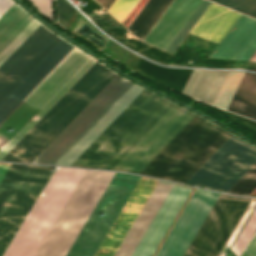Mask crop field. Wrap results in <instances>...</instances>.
<instances>
[{
	"label": "crop field",
	"instance_id": "crop-field-7",
	"mask_svg": "<svg viewBox=\"0 0 256 256\" xmlns=\"http://www.w3.org/2000/svg\"><path fill=\"white\" fill-rule=\"evenodd\" d=\"M85 170L60 168L38 197L3 256H34Z\"/></svg>",
	"mask_w": 256,
	"mask_h": 256
},
{
	"label": "crop field",
	"instance_id": "crop-field-26",
	"mask_svg": "<svg viewBox=\"0 0 256 256\" xmlns=\"http://www.w3.org/2000/svg\"><path fill=\"white\" fill-rule=\"evenodd\" d=\"M209 4H210V2H208L206 0L203 1V3L200 5V7L196 10V12L189 19V21L185 24V26L181 29V31L178 33V35L174 38V40L167 47L166 51H169L171 53L174 52V50L177 48V46L180 44V42L183 40V38L186 36V34L190 31V29L193 27V25L196 23V21L199 19V17L203 14V12L206 10V8L209 6Z\"/></svg>",
	"mask_w": 256,
	"mask_h": 256
},
{
	"label": "crop field",
	"instance_id": "crop-field-17",
	"mask_svg": "<svg viewBox=\"0 0 256 256\" xmlns=\"http://www.w3.org/2000/svg\"><path fill=\"white\" fill-rule=\"evenodd\" d=\"M251 199L232 197L197 256H217Z\"/></svg>",
	"mask_w": 256,
	"mask_h": 256
},
{
	"label": "crop field",
	"instance_id": "crop-field-28",
	"mask_svg": "<svg viewBox=\"0 0 256 256\" xmlns=\"http://www.w3.org/2000/svg\"><path fill=\"white\" fill-rule=\"evenodd\" d=\"M39 12L51 21L54 19V4L52 0H28Z\"/></svg>",
	"mask_w": 256,
	"mask_h": 256
},
{
	"label": "crop field",
	"instance_id": "crop-field-4",
	"mask_svg": "<svg viewBox=\"0 0 256 256\" xmlns=\"http://www.w3.org/2000/svg\"><path fill=\"white\" fill-rule=\"evenodd\" d=\"M129 83L116 75L32 163L51 164ZM142 90L130 83L52 164L70 166Z\"/></svg>",
	"mask_w": 256,
	"mask_h": 256
},
{
	"label": "crop field",
	"instance_id": "crop-field-12",
	"mask_svg": "<svg viewBox=\"0 0 256 256\" xmlns=\"http://www.w3.org/2000/svg\"><path fill=\"white\" fill-rule=\"evenodd\" d=\"M190 192L173 186L132 256H152Z\"/></svg>",
	"mask_w": 256,
	"mask_h": 256
},
{
	"label": "crop field",
	"instance_id": "crop-field-38",
	"mask_svg": "<svg viewBox=\"0 0 256 256\" xmlns=\"http://www.w3.org/2000/svg\"><path fill=\"white\" fill-rule=\"evenodd\" d=\"M226 256V255H225Z\"/></svg>",
	"mask_w": 256,
	"mask_h": 256
},
{
	"label": "crop field",
	"instance_id": "crop-field-18",
	"mask_svg": "<svg viewBox=\"0 0 256 256\" xmlns=\"http://www.w3.org/2000/svg\"><path fill=\"white\" fill-rule=\"evenodd\" d=\"M239 16L238 13L211 3L191 32L220 42Z\"/></svg>",
	"mask_w": 256,
	"mask_h": 256
},
{
	"label": "crop field",
	"instance_id": "crop-field-3",
	"mask_svg": "<svg viewBox=\"0 0 256 256\" xmlns=\"http://www.w3.org/2000/svg\"><path fill=\"white\" fill-rule=\"evenodd\" d=\"M112 175L86 170L35 256L65 255ZM139 179L114 173L65 256L95 254Z\"/></svg>",
	"mask_w": 256,
	"mask_h": 256
},
{
	"label": "crop field",
	"instance_id": "crop-field-23",
	"mask_svg": "<svg viewBox=\"0 0 256 256\" xmlns=\"http://www.w3.org/2000/svg\"><path fill=\"white\" fill-rule=\"evenodd\" d=\"M171 1L149 0L128 29L142 40Z\"/></svg>",
	"mask_w": 256,
	"mask_h": 256
},
{
	"label": "crop field",
	"instance_id": "crop-field-5",
	"mask_svg": "<svg viewBox=\"0 0 256 256\" xmlns=\"http://www.w3.org/2000/svg\"><path fill=\"white\" fill-rule=\"evenodd\" d=\"M115 75L96 62L2 160L31 163Z\"/></svg>",
	"mask_w": 256,
	"mask_h": 256
},
{
	"label": "crop field",
	"instance_id": "crop-field-32",
	"mask_svg": "<svg viewBox=\"0 0 256 256\" xmlns=\"http://www.w3.org/2000/svg\"><path fill=\"white\" fill-rule=\"evenodd\" d=\"M236 11L256 18V0H243Z\"/></svg>",
	"mask_w": 256,
	"mask_h": 256
},
{
	"label": "crop field",
	"instance_id": "crop-field-9",
	"mask_svg": "<svg viewBox=\"0 0 256 256\" xmlns=\"http://www.w3.org/2000/svg\"><path fill=\"white\" fill-rule=\"evenodd\" d=\"M256 162V148L230 136L186 182L227 192Z\"/></svg>",
	"mask_w": 256,
	"mask_h": 256
},
{
	"label": "crop field",
	"instance_id": "crop-field-36",
	"mask_svg": "<svg viewBox=\"0 0 256 256\" xmlns=\"http://www.w3.org/2000/svg\"><path fill=\"white\" fill-rule=\"evenodd\" d=\"M96 1L107 10L114 0H96Z\"/></svg>",
	"mask_w": 256,
	"mask_h": 256
},
{
	"label": "crop field",
	"instance_id": "crop-field-16",
	"mask_svg": "<svg viewBox=\"0 0 256 256\" xmlns=\"http://www.w3.org/2000/svg\"><path fill=\"white\" fill-rule=\"evenodd\" d=\"M171 188L158 183L114 256H131Z\"/></svg>",
	"mask_w": 256,
	"mask_h": 256
},
{
	"label": "crop field",
	"instance_id": "crop-field-11",
	"mask_svg": "<svg viewBox=\"0 0 256 256\" xmlns=\"http://www.w3.org/2000/svg\"><path fill=\"white\" fill-rule=\"evenodd\" d=\"M157 182L141 177L94 256H113Z\"/></svg>",
	"mask_w": 256,
	"mask_h": 256
},
{
	"label": "crop field",
	"instance_id": "crop-field-37",
	"mask_svg": "<svg viewBox=\"0 0 256 256\" xmlns=\"http://www.w3.org/2000/svg\"><path fill=\"white\" fill-rule=\"evenodd\" d=\"M8 168L9 166L0 165V181L2 180Z\"/></svg>",
	"mask_w": 256,
	"mask_h": 256
},
{
	"label": "crop field",
	"instance_id": "crop-field-35",
	"mask_svg": "<svg viewBox=\"0 0 256 256\" xmlns=\"http://www.w3.org/2000/svg\"><path fill=\"white\" fill-rule=\"evenodd\" d=\"M10 0H0V17L13 5Z\"/></svg>",
	"mask_w": 256,
	"mask_h": 256
},
{
	"label": "crop field",
	"instance_id": "crop-field-6",
	"mask_svg": "<svg viewBox=\"0 0 256 256\" xmlns=\"http://www.w3.org/2000/svg\"><path fill=\"white\" fill-rule=\"evenodd\" d=\"M230 135L195 115L139 174L185 183Z\"/></svg>",
	"mask_w": 256,
	"mask_h": 256
},
{
	"label": "crop field",
	"instance_id": "crop-field-10",
	"mask_svg": "<svg viewBox=\"0 0 256 256\" xmlns=\"http://www.w3.org/2000/svg\"><path fill=\"white\" fill-rule=\"evenodd\" d=\"M198 189L156 256H182L184 254L219 196L218 193Z\"/></svg>",
	"mask_w": 256,
	"mask_h": 256
},
{
	"label": "crop field",
	"instance_id": "crop-field-30",
	"mask_svg": "<svg viewBox=\"0 0 256 256\" xmlns=\"http://www.w3.org/2000/svg\"><path fill=\"white\" fill-rule=\"evenodd\" d=\"M255 204L256 202L251 201L250 205L248 206L247 210L245 211L244 215L242 216L241 220L239 221L238 225L236 226L235 230L233 231L232 235L230 236L229 240L227 241L226 245L224 246L219 256L225 255L229 246L231 245L232 241L236 237L237 233L239 232L240 228L242 227L243 223L245 222L246 218L248 217L249 213L251 212Z\"/></svg>",
	"mask_w": 256,
	"mask_h": 256
},
{
	"label": "crop field",
	"instance_id": "crop-field-15",
	"mask_svg": "<svg viewBox=\"0 0 256 256\" xmlns=\"http://www.w3.org/2000/svg\"><path fill=\"white\" fill-rule=\"evenodd\" d=\"M27 13L15 4L0 18V52L32 20ZM34 19L17 35V37L0 53V65L22 44V42L39 26Z\"/></svg>",
	"mask_w": 256,
	"mask_h": 256
},
{
	"label": "crop field",
	"instance_id": "crop-field-34",
	"mask_svg": "<svg viewBox=\"0 0 256 256\" xmlns=\"http://www.w3.org/2000/svg\"><path fill=\"white\" fill-rule=\"evenodd\" d=\"M241 256H256V236Z\"/></svg>",
	"mask_w": 256,
	"mask_h": 256
},
{
	"label": "crop field",
	"instance_id": "crop-field-13",
	"mask_svg": "<svg viewBox=\"0 0 256 256\" xmlns=\"http://www.w3.org/2000/svg\"><path fill=\"white\" fill-rule=\"evenodd\" d=\"M202 1L173 0L143 41L165 50Z\"/></svg>",
	"mask_w": 256,
	"mask_h": 256
},
{
	"label": "crop field",
	"instance_id": "crop-field-8",
	"mask_svg": "<svg viewBox=\"0 0 256 256\" xmlns=\"http://www.w3.org/2000/svg\"><path fill=\"white\" fill-rule=\"evenodd\" d=\"M55 167L11 164L0 183V256Z\"/></svg>",
	"mask_w": 256,
	"mask_h": 256
},
{
	"label": "crop field",
	"instance_id": "crop-field-27",
	"mask_svg": "<svg viewBox=\"0 0 256 256\" xmlns=\"http://www.w3.org/2000/svg\"><path fill=\"white\" fill-rule=\"evenodd\" d=\"M138 0H115L107 10L121 23Z\"/></svg>",
	"mask_w": 256,
	"mask_h": 256
},
{
	"label": "crop field",
	"instance_id": "crop-field-22",
	"mask_svg": "<svg viewBox=\"0 0 256 256\" xmlns=\"http://www.w3.org/2000/svg\"><path fill=\"white\" fill-rule=\"evenodd\" d=\"M231 196L220 194L190 246L183 256H196L230 201Z\"/></svg>",
	"mask_w": 256,
	"mask_h": 256
},
{
	"label": "crop field",
	"instance_id": "crop-field-19",
	"mask_svg": "<svg viewBox=\"0 0 256 256\" xmlns=\"http://www.w3.org/2000/svg\"><path fill=\"white\" fill-rule=\"evenodd\" d=\"M228 72L193 70L182 93L213 104Z\"/></svg>",
	"mask_w": 256,
	"mask_h": 256
},
{
	"label": "crop field",
	"instance_id": "crop-field-1",
	"mask_svg": "<svg viewBox=\"0 0 256 256\" xmlns=\"http://www.w3.org/2000/svg\"><path fill=\"white\" fill-rule=\"evenodd\" d=\"M73 48L41 25L23 42L0 66V123ZM75 48L0 124V160L95 63Z\"/></svg>",
	"mask_w": 256,
	"mask_h": 256
},
{
	"label": "crop field",
	"instance_id": "crop-field-24",
	"mask_svg": "<svg viewBox=\"0 0 256 256\" xmlns=\"http://www.w3.org/2000/svg\"><path fill=\"white\" fill-rule=\"evenodd\" d=\"M255 208V207H254ZM254 210V209H253ZM252 213V212H251ZM251 215V214H250ZM250 217V216H249ZM248 217V218H249ZM248 220V219H247ZM247 220H246V222H247ZM245 222V223H246ZM245 225V224H244ZM244 225H243V227H244ZM242 227V228H243ZM242 230V229H241ZM241 230H240V232H241ZM255 231H256V208H255V210L253 211V213H252V215H251V217L249 218V220H248V222L246 223V225H245V227L243 228V230H242V232L240 233V235H239V237H238V235H237V237H238V239H237V237H236V242H235V240H234V242H235V244H234V242H233V247H232V245H231V247H232V249H231V247H230V249L237 255V256H239L240 255V253L242 252V250H243V248L245 247V245L247 244V242L252 238V236H253V234L255 233ZM228 250L231 254H233L234 256H236L231 250Z\"/></svg>",
	"mask_w": 256,
	"mask_h": 256
},
{
	"label": "crop field",
	"instance_id": "crop-field-31",
	"mask_svg": "<svg viewBox=\"0 0 256 256\" xmlns=\"http://www.w3.org/2000/svg\"><path fill=\"white\" fill-rule=\"evenodd\" d=\"M220 111L222 113H224L226 116H228L231 120H233L239 126L256 132V122L255 121L231 114V113L223 111V110H220Z\"/></svg>",
	"mask_w": 256,
	"mask_h": 256
},
{
	"label": "crop field",
	"instance_id": "crop-field-25",
	"mask_svg": "<svg viewBox=\"0 0 256 256\" xmlns=\"http://www.w3.org/2000/svg\"><path fill=\"white\" fill-rule=\"evenodd\" d=\"M256 189V163L228 191L229 193L249 196Z\"/></svg>",
	"mask_w": 256,
	"mask_h": 256
},
{
	"label": "crop field",
	"instance_id": "crop-field-2",
	"mask_svg": "<svg viewBox=\"0 0 256 256\" xmlns=\"http://www.w3.org/2000/svg\"><path fill=\"white\" fill-rule=\"evenodd\" d=\"M193 116L144 90L71 166L138 174Z\"/></svg>",
	"mask_w": 256,
	"mask_h": 256
},
{
	"label": "crop field",
	"instance_id": "crop-field-33",
	"mask_svg": "<svg viewBox=\"0 0 256 256\" xmlns=\"http://www.w3.org/2000/svg\"><path fill=\"white\" fill-rule=\"evenodd\" d=\"M211 1L235 10L242 0H211Z\"/></svg>",
	"mask_w": 256,
	"mask_h": 256
},
{
	"label": "crop field",
	"instance_id": "crop-field-29",
	"mask_svg": "<svg viewBox=\"0 0 256 256\" xmlns=\"http://www.w3.org/2000/svg\"><path fill=\"white\" fill-rule=\"evenodd\" d=\"M56 1L58 4L59 23L65 27L74 8L70 4H68L65 0H56Z\"/></svg>",
	"mask_w": 256,
	"mask_h": 256
},
{
	"label": "crop field",
	"instance_id": "crop-field-21",
	"mask_svg": "<svg viewBox=\"0 0 256 256\" xmlns=\"http://www.w3.org/2000/svg\"><path fill=\"white\" fill-rule=\"evenodd\" d=\"M228 110L256 119V74L245 73Z\"/></svg>",
	"mask_w": 256,
	"mask_h": 256
},
{
	"label": "crop field",
	"instance_id": "crop-field-14",
	"mask_svg": "<svg viewBox=\"0 0 256 256\" xmlns=\"http://www.w3.org/2000/svg\"><path fill=\"white\" fill-rule=\"evenodd\" d=\"M255 51L256 21L241 15L209 57L249 60Z\"/></svg>",
	"mask_w": 256,
	"mask_h": 256
},
{
	"label": "crop field",
	"instance_id": "crop-field-20",
	"mask_svg": "<svg viewBox=\"0 0 256 256\" xmlns=\"http://www.w3.org/2000/svg\"><path fill=\"white\" fill-rule=\"evenodd\" d=\"M192 70L165 68L141 59L135 73L181 92Z\"/></svg>",
	"mask_w": 256,
	"mask_h": 256
}]
</instances>
